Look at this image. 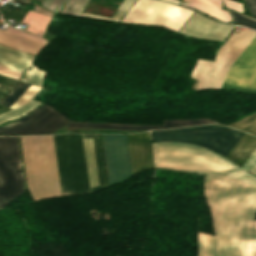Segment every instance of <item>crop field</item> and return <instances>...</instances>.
<instances>
[{"instance_id": "1", "label": "crop field", "mask_w": 256, "mask_h": 256, "mask_svg": "<svg viewBox=\"0 0 256 256\" xmlns=\"http://www.w3.org/2000/svg\"><path fill=\"white\" fill-rule=\"evenodd\" d=\"M155 167L206 174L204 195L215 235L198 232L197 256H256V176L203 147L153 142Z\"/></svg>"}, {"instance_id": "2", "label": "crop field", "mask_w": 256, "mask_h": 256, "mask_svg": "<svg viewBox=\"0 0 256 256\" xmlns=\"http://www.w3.org/2000/svg\"><path fill=\"white\" fill-rule=\"evenodd\" d=\"M21 140L27 185L34 201L61 195L52 136Z\"/></svg>"}, {"instance_id": "3", "label": "crop field", "mask_w": 256, "mask_h": 256, "mask_svg": "<svg viewBox=\"0 0 256 256\" xmlns=\"http://www.w3.org/2000/svg\"><path fill=\"white\" fill-rule=\"evenodd\" d=\"M62 195L88 191L80 134L53 135Z\"/></svg>"}, {"instance_id": "4", "label": "crop field", "mask_w": 256, "mask_h": 256, "mask_svg": "<svg viewBox=\"0 0 256 256\" xmlns=\"http://www.w3.org/2000/svg\"><path fill=\"white\" fill-rule=\"evenodd\" d=\"M244 132L220 124L151 131L152 141H179L204 146L226 155Z\"/></svg>"}, {"instance_id": "5", "label": "crop field", "mask_w": 256, "mask_h": 256, "mask_svg": "<svg viewBox=\"0 0 256 256\" xmlns=\"http://www.w3.org/2000/svg\"><path fill=\"white\" fill-rule=\"evenodd\" d=\"M255 35L250 31L233 33L220 48L215 62L198 60L191 74V77L199 79L195 90L220 88L230 66Z\"/></svg>"}, {"instance_id": "6", "label": "crop field", "mask_w": 256, "mask_h": 256, "mask_svg": "<svg viewBox=\"0 0 256 256\" xmlns=\"http://www.w3.org/2000/svg\"><path fill=\"white\" fill-rule=\"evenodd\" d=\"M193 11L156 0H138L121 22L155 24L178 31Z\"/></svg>"}, {"instance_id": "7", "label": "crop field", "mask_w": 256, "mask_h": 256, "mask_svg": "<svg viewBox=\"0 0 256 256\" xmlns=\"http://www.w3.org/2000/svg\"><path fill=\"white\" fill-rule=\"evenodd\" d=\"M24 192L16 137H0V208Z\"/></svg>"}, {"instance_id": "8", "label": "crop field", "mask_w": 256, "mask_h": 256, "mask_svg": "<svg viewBox=\"0 0 256 256\" xmlns=\"http://www.w3.org/2000/svg\"><path fill=\"white\" fill-rule=\"evenodd\" d=\"M221 88L256 92V38L231 66Z\"/></svg>"}, {"instance_id": "9", "label": "crop field", "mask_w": 256, "mask_h": 256, "mask_svg": "<svg viewBox=\"0 0 256 256\" xmlns=\"http://www.w3.org/2000/svg\"><path fill=\"white\" fill-rule=\"evenodd\" d=\"M110 185L131 176L125 135L102 134Z\"/></svg>"}, {"instance_id": "10", "label": "crop field", "mask_w": 256, "mask_h": 256, "mask_svg": "<svg viewBox=\"0 0 256 256\" xmlns=\"http://www.w3.org/2000/svg\"><path fill=\"white\" fill-rule=\"evenodd\" d=\"M233 28L234 26L216 22L195 13L180 33L223 41Z\"/></svg>"}, {"instance_id": "11", "label": "crop field", "mask_w": 256, "mask_h": 256, "mask_svg": "<svg viewBox=\"0 0 256 256\" xmlns=\"http://www.w3.org/2000/svg\"><path fill=\"white\" fill-rule=\"evenodd\" d=\"M81 137L82 138H92L95 161H96V168H97V175H98V181H99V185H97L98 181H97V175H96V168H95V162H94V155H93V148H92L91 139H83L85 154H86V160H87V166H88V172H89V178H90V184H91V187L94 186V185H97L95 187L90 188L87 166H86V160H85L89 191L97 190V189L106 187L98 134H93V135L81 134ZM83 142H82V144H83ZM84 148H83V152H84ZM85 154H84V159H85Z\"/></svg>"}, {"instance_id": "12", "label": "crop field", "mask_w": 256, "mask_h": 256, "mask_svg": "<svg viewBox=\"0 0 256 256\" xmlns=\"http://www.w3.org/2000/svg\"><path fill=\"white\" fill-rule=\"evenodd\" d=\"M132 175L153 168L148 132L126 135Z\"/></svg>"}, {"instance_id": "13", "label": "crop field", "mask_w": 256, "mask_h": 256, "mask_svg": "<svg viewBox=\"0 0 256 256\" xmlns=\"http://www.w3.org/2000/svg\"><path fill=\"white\" fill-rule=\"evenodd\" d=\"M206 123H214V121L209 119L163 120V125H130V124H112V123L101 124V123L71 121L66 126L145 130V129H168V128L184 127V126L199 125V124H206Z\"/></svg>"}, {"instance_id": "14", "label": "crop field", "mask_w": 256, "mask_h": 256, "mask_svg": "<svg viewBox=\"0 0 256 256\" xmlns=\"http://www.w3.org/2000/svg\"><path fill=\"white\" fill-rule=\"evenodd\" d=\"M69 121L71 120L53 109L36 122L9 134L53 133Z\"/></svg>"}, {"instance_id": "15", "label": "crop field", "mask_w": 256, "mask_h": 256, "mask_svg": "<svg viewBox=\"0 0 256 256\" xmlns=\"http://www.w3.org/2000/svg\"><path fill=\"white\" fill-rule=\"evenodd\" d=\"M255 150L256 137L245 133L225 157L242 167Z\"/></svg>"}, {"instance_id": "16", "label": "crop field", "mask_w": 256, "mask_h": 256, "mask_svg": "<svg viewBox=\"0 0 256 256\" xmlns=\"http://www.w3.org/2000/svg\"><path fill=\"white\" fill-rule=\"evenodd\" d=\"M33 56L0 45V64L9 68L23 71L29 68L33 62Z\"/></svg>"}, {"instance_id": "17", "label": "crop field", "mask_w": 256, "mask_h": 256, "mask_svg": "<svg viewBox=\"0 0 256 256\" xmlns=\"http://www.w3.org/2000/svg\"><path fill=\"white\" fill-rule=\"evenodd\" d=\"M0 43L23 52L37 55L44 44L0 30Z\"/></svg>"}, {"instance_id": "18", "label": "crop field", "mask_w": 256, "mask_h": 256, "mask_svg": "<svg viewBox=\"0 0 256 256\" xmlns=\"http://www.w3.org/2000/svg\"><path fill=\"white\" fill-rule=\"evenodd\" d=\"M168 1H172V2H176V3H180V4H184L187 6L197 8V9L202 10L218 19H222V20H226V21H230V19H231V17L227 13V11L220 9L221 2H222L221 0H184L191 4L183 3L178 0H168Z\"/></svg>"}, {"instance_id": "19", "label": "crop field", "mask_w": 256, "mask_h": 256, "mask_svg": "<svg viewBox=\"0 0 256 256\" xmlns=\"http://www.w3.org/2000/svg\"><path fill=\"white\" fill-rule=\"evenodd\" d=\"M51 109H53V108L43 104L39 108L34 110L32 113H30L28 116H26L22 119H19L17 121L11 122L9 124H6L4 126H0V134L9 133L13 130H16V129L21 128L25 125H28V124L36 121L38 118H40L41 116L46 114Z\"/></svg>"}, {"instance_id": "20", "label": "crop field", "mask_w": 256, "mask_h": 256, "mask_svg": "<svg viewBox=\"0 0 256 256\" xmlns=\"http://www.w3.org/2000/svg\"><path fill=\"white\" fill-rule=\"evenodd\" d=\"M61 1L62 0H43L40 5L49 10L55 11ZM65 1L67 0H63L61 6L64 4ZM89 1L90 0H68L61 12L79 15ZM60 7L58 8V10L60 9Z\"/></svg>"}, {"instance_id": "21", "label": "crop field", "mask_w": 256, "mask_h": 256, "mask_svg": "<svg viewBox=\"0 0 256 256\" xmlns=\"http://www.w3.org/2000/svg\"><path fill=\"white\" fill-rule=\"evenodd\" d=\"M39 105L40 103L30 100L27 104L0 115V123L25 115L34 110Z\"/></svg>"}, {"instance_id": "22", "label": "crop field", "mask_w": 256, "mask_h": 256, "mask_svg": "<svg viewBox=\"0 0 256 256\" xmlns=\"http://www.w3.org/2000/svg\"><path fill=\"white\" fill-rule=\"evenodd\" d=\"M228 126L256 135V113L237 120Z\"/></svg>"}, {"instance_id": "23", "label": "crop field", "mask_w": 256, "mask_h": 256, "mask_svg": "<svg viewBox=\"0 0 256 256\" xmlns=\"http://www.w3.org/2000/svg\"><path fill=\"white\" fill-rule=\"evenodd\" d=\"M44 73V71L37 69L35 66H32L31 71H25V75L21 81L41 86Z\"/></svg>"}, {"instance_id": "24", "label": "crop field", "mask_w": 256, "mask_h": 256, "mask_svg": "<svg viewBox=\"0 0 256 256\" xmlns=\"http://www.w3.org/2000/svg\"><path fill=\"white\" fill-rule=\"evenodd\" d=\"M29 86V84L19 82L17 86L1 101V103L10 107Z\"/></svg>"}, {"instance_id": "25", "label": "crop field", "mask_w": 256, "mask_h": 256, "mask_svg": "<svg viewBox=\"0 0 256 256\" xmlns=\"http://www.w3.org/2000/svg\"><path fill=\"white\" fill-rule=\"evenodd\" d=\"M40 89V87L31 85L11 107L16 108L27 103Z\"/></svg>"}, {"instance_id": "26", "label": "crop field", "mask_w": 256, "mask_h": 256, "mask_svg": "<svg viewBox=\"0 0 256 256\" xmlns=\"http://www.w3.org/2000/svg\"><path fill=\"white\" fill-rule=\"evenodd\" d=\"M135 1L136 0H124L121 6L119 5L120 7L111 15L110 20L119 21Z\"/></svg>"}, {"instance_id": "27", "label": "crop field", "mask_w": 256, "mask_h": 256, "mask_svg": "<svg viewBox=\"0 0 256 256\" xmlns=\"http://www.w3.org/2000/svg\"><path fill=\"white\" fill-rule=\"evenodd\" d=\"M234 22L256 29V20L230 11Z\"/></svg>"}, {"instance_id": "28", "label": "crop field", "mask_w": 256, "mask_h": 256, "mask_svg": "<svg viewBox=\"0 0 256 256\" xmlns=\"http://www.w3.org/2000/svg\"><path fill=\"white\" fill-rule=\"evenodd\" d=\"M6 31H9V32H12V33L21 35V36H24V37H26V38H29V39H32V40H35V41H38V42H41V43H44V44L47 43L46 41H44L43 39H41L39 36H36V35L30 34V33L24 32V31H22V30H19V29L10 27V26H8V28L6 29Z\"/></svg>"}, {"instance_id": "29", "label": "crop field", "mask_w": 256, "mask_h": 256, "mask_svg": "<svg viewBox=\"0 0 256 256\" xmlns=\"http://www.w3.org/2000/svg\"><path fill=\"white\" fill-rule=\"evenodd\" d=\"M0 74L18 80L19 76L21 75V72L0 65Z\"/></svg>"}, {"instance_id": "30", "label": "crop field", "mask_w": 256, "mask_h": 256, "mask_svg": "<svg viewBox=\"0 0 256 256\" xmlns=\"http://www.w3.org/2000/svg\"><path fill=\"white\" fill-rule=\"evenodd\" d=\"M223 1L225 3L226 7L242 12V10H243L242 4L233 2L231 0H223Z\"/></svg>"}, {"instance_id": "31", "label": "crop field", "mask_w": 256, "mask_h": 256, "mask_svg": "<svg viewBox=\"0 0 256 256\" xmlns=\"http://www.w3.org/2000/svg\"><path fill=\"white\" fill-rule=\"evenodd\" d=\"M252 16L256 17V0H245Z\"/></svg>"}, {"instance_id": "32", "label": "crop field", "mask_w": 256, "mask_h": 256, "mask_svg": "<svg viewBox=\"0 0 256 256\" xmlns=\"http://www.w3.org/2000/svg\"><path fill=\"white\" fill-rule=\"evenodd\" d=\"M16 80L0 75V83L12 87Z\"/></svg>"}, {"instance_id": "33", "label": "crop field", "mask_w": 256, "mask_h": 256, "mask_svg": "<svg viewBox=\"0 0 256 256\" xmlns=\"http://www.w3.org/2000/svg\"><path fill=\"white\" fill-rule=\"evenodd\" d=\"M81 16L90 17V18H101V19H106V20L109 19L107 17L98 16V15H92V14H87V13H82Z\"/></svg>"}, {"instance_id": "34", "label": "crop field", "mask_w": 256, "mask_h": 256, "mask_svg": "<svg viewBox=\"0 0 256 256\" xmlns=\"http://www.w3.org/2000/svg\"><path fill=\"white\" fill-rule=\"evenodd\" d=\"M10 90V88L0 85V99Z\"/></svg>"}, {"instance_id": "35", "label": "crop field", "mask_w": 256, "mask_h": 256, "mask_svg": "<svg viewBox=\"0 0 256 256\" xmlns=\"http://www.w3.org/2000/svg\"><path fill=\"white\" fill-rule=\"evenodd\" d=\"M250 172L256 174V164L251 168Z\"/></svg>"}]
</instances>
